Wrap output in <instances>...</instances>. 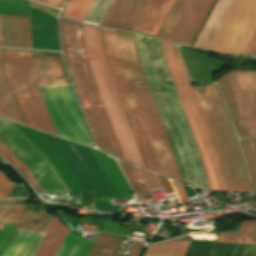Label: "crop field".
<instances>
[{
    "label": "crop field",
    "mask_w": 256,
    "mask_h": 256,
    "mask_svg": "<svg viewBox=\"0 0 256 256\" xmlns=\"http://www.w3.org/2000/svg\"><path fill=\"white\" fill-rule=\"evenodd\" d=\"M12 124L49 158L71 192H82V206L89 208L91 191L99 210L122 207L102 198H134L116 163L100 151Z\"/></svg>",
    "instance_id": "crop-field-1"
},
{
    "label": "crop field",
    "mask_w": 256,
    "mask_h": 256,
    "mask_svg": "<svg viewBox=\"0 0 256 256\" xmlns=\"http://www.w3.org/2000/svg\"><path fill=\"white\" fill-rule=\"evenodd\" d=\"M137 52L172 145L182 180L210 190L196 142L163 57L160 42L135 34Z\"/></svg>",
    "instance_id": "crop-field-2"
},
{
    "label": "crop field",
    "mask_w": 256,
    "mask_h": 256,
    "mask_svg": "<svg viewBox=\"0 0 256 256\" xmlns=\"http://www.w3.org/2000/svg\"><path fill=\"white\" fill-rule=\"evenodd\" d=\"M60 25L65 60L96 144L98 148L123 159L87 61L82 24L62 19Z\"/></svg>",
    "instance_id": "crop-field-3"
},
{
    "label": "crop field",
    "mask_w": 256,
    "mask_h": 256,
    "mask_svg": "<svg viewBox=\"0 0 256 256\" xmlns=\"http://www.w3.org/2000/svg\"><path fill=\"white\" fill-rule=\"evenodd\" d=\"M119 58L134 94L161 173L180 180L173 152L138 59L133 33L116 31Z\"/></svg>",
    "instance_id": "crop-field-4"
},
{
    "label": "crop field",
    "mask_w": 256,
    "mask_h": 256,
    "mask_svg": "<svg viewBox=\"0 0 256 256\" xmlns=\"http://www.w3.org/2000/svg\"><path fill=\"white\" fill-rule=\"evenodd\" d=\"M39 88L69 85L61 58L31 52ZM59 137L92 146L69 86L40 89ZM93 147V146H92Z\"/></svg>",
    "instance_id": "crop-field-5"
},
{
    "label": "crop field",
    "mask_w": 256,
    "mask_h": 256,
    "mask_svg": "<svg viewBox=\"0 0 256 256\" xmlns=\"http://www.w3.org/2000/svg\"><path fill=\"white\" fill-rule=\"evenodd\" d=\"M193 89L213 140L228 192H250L237 142L216 86Z\"/></svg>",
    "instance_id": "crop-field-6"
},
{
    "label": "crop field",
    "mask_w": 256,
    "mask_h": 256,
    "mask_svg": "<svg viewBox=\"0 0 256 256\" xmlns=\"http://www.w3.org/2000/svg\"><path fill=\"white\" fill-rule=\"evenodd\" d=\"M83 27L88 61L94 74L124 159L144 167L104 57L100 29L86 26L84 24Z\"/></svg>",
    "instance_id": "crop-field-7"
},
{
    "label": "crop field",
    "mask_w": 256,
    "mask_h": 256,
    "mask_svg": "<svg viewBox=\"0 0 256 256\" xmlns=\"http://www.w3.org/2000/svg\"><path fill=\"white\" fill-rule=\"evenodd\" d=\"M161 47L197 142L210 189L226 191L213 143L204 123L178 48L162 42Z\"/></svg>",
    "instance_id": "crop-field-8"
},
{
    "label": "crop field",
    "mask_w": 256,
    "mask_h": 256,
    "mask_svg": "<svg viewBox=\"0 0 256 256\" xmlns=\"http://www.w3.org/2000/svg\"><path fill=\"white\" fill-rule=\"evenodd\" d=\"M4 55L7 76L25 124L56 135L33 76L30 52L4 50Z\"/></svg>",
    "instance_id": "crop-field-9"
},
{
    "label": "crop field",
    "mask_w": 256,
    "mask_h": 256,
    "mask_svg": "<svg viewBox=\"0 0 256 256\" xmlns=\"http://www.w3.org/2000/svg\"><path fill=\"white\" fill-rule=\"evenodd\" d=\"M4 121L45 160L63 190H67L47 158L38 149H36L20 132H18L8 121ZM4 121L0 119V140L4 142L32 170L44 192H69L62 190L44 160ZM1 141L0 154L7 161L14 164L31 181V183L37 190L43 191L37 180L35 179L34 175L32 174L31 170Z\"/></svg>",
    "instance_id": "crop-field-10"
},
{
    "label": "crop field",
    "mask_w": 256,
    "mask_h": 256,
    "mask_svg": "<svg viewBox=\"0 0 256 256\" xmlns=\"http://www.w3.org/2000/svg\"><path fill=\"white\" fill-rule=\"evenodd\" d=\"M105 53L136 136L146 167L160 173L157 160L117 54L115 31L104 30ZM147 169V170H148ZM161 174V173H160Z\"/></svg>",
    "instance_id": "crop-field-11"
},
{
    "label": "crop field",
    "mask_w": 256,
    "mask_h": 256,
    "mask_svg": "<svg viewBox=\"0 0 256 256\" xmlns=\"http://www.w3.org/2000/svg\"><path fill=\"white\" fill-rule=\"evenodd\" d=\"M256 28V0H239L213 51L242 54Z\"/></svg>",
    "instance_id": "crop-field-12"
},
{
    "label": "crop field",
    "mask_w": 256,
    "mask_h": 256,
    "mask_svg": "<svg viewBox=\"0 0 256 256\" xmlns=\"http://www.w3.org/2000/svg\"><path fill=\"white\" fill-rule=\"evenodd\" d=\"M54 217L51 212L43 207L37 212L26 210L16 231L43 238ZM16 231H14L2 256H33L42 238Z\"/></svg>",
    "instance_id": "crop-field-13"
},
{
    "label": "crop field",
    "mask_w": 256,
    "mask_h": 256,
    "mask_svg": "<svg viewBox=\"0 0 256 256\" xmlns=\"http://www.w3.org/2000/svg\"><path fill=\"white\" fill-rule=\"evenodd\" d=\"M249 137L256 136V72L226 74Z\"/></svg>",
    "instance_id": "crop-field-14"
},
{
    "label": "crop field",
    "mask_w": 256,
    "mask_h": 256,
    "mask_svg": "<svg viewBox=\"0 0 256 256\" xmlns=\"http://www.w3.org/2000/svg\"><path fill=\"white\" fill-rule=\"evenodd\" d=\"M67 228L54 219L35 256H54L62 243ZM93 241L67 233L55 256H86Z\"/></svg>",
    "instance_id": "crop-field-15"
},
{
    "label": "crop field",
    "mask_w": 256,
    "mask_h": 256,
    "mask_svg": "<svg viewBox=\"0 0 256 256\" xmlns=\"http://www.w3.org/2000/svg\"><path fill=\"white\" fill-rule=\"evenodd\" d=\"M215 0H190L169 40L191 46Z\"/></svg>",
    "instance_id": "crop-field-16"
},
{
    "label": "crop field",
    "mask_w": 256,
    "mask_h": 256,
    "mask_svg": "<svg viewBox=\"0 0 256 256\" xmlns=\"http://www.w3.org/2000/svg\"><path fill=\"white\" fill-rule=\"evenodd\" d=\"M29 21L33 49L60 51L57 20L30 8Z\"/></svg>",
    "instance_id": "crop-field-17"
},
{
    "label": "crop field",
    "mask_w": 256,
    "mask_h": 256,
    "mask_svg": "<svg viewBox=\"0 0 256 256\" xmlns=\"http://www.w3.org/2000/svg\"><path fill=\"white\" fill-rule=\"evenodd\" d=\"M238 0H218L194 47L212 50Z\"/></svg>",
    "instance_id": "crop-field-18"
},
{
    "label": "crop field",
    "mask_w": 256,
    "mask_h": 256,
    "mask_svg": "<svg viewBox=\"0 0 256 256\" xmlns=\"http://www.w3.org/2000/svg\"><path fill=\"white\" fill-rule=\"evenodd\" d=\"M0 46L32 49L28 18L0 15Z\"/></svg>",
    "instance_id": "crop-field-19"
},
{
    "label": "crop field",
    "mask_w": 256,
    "mask_h": 256,
    "mask_svg": "<svg viewBox=\"0 0 256 256\" xmlns=\"http://www.w3.org/2000/svg\"><path fill=\"white\" fill-rule=\"evenodd\" d=\"M174 1L147 0L132 30L156 37Z\"/></svg>",
    "instance_id": "crop-field-20"
},
{
    "label": "crop field",
    "mask_w": 256,
    "mask_h": 256,
    "mask_svg": "<svg viewBox=\"0 0 256 256\" xmlns=\"http://www.w3.org/2000/svg\"><path fill=\"white\" fill-rule=\"evenodd\" d=\"M146 0H114L101 26L131 30Z\"/></svg>",
    "instance_id": "crop-field-21"
},
{
    "label": "crop field",
    "mask_w": 256,
    "mask_h": 256,
    "mask_svg": "<svg viewBox=\"0 0 256 256\" xmlns=\"http://www.w3.org/2000/svg\"><path fill=\"white\" fill-rule=\"evenodd\" d=\"M124 237L106 233H98L87 256H119L116 255ZM143 243L133 246L129 256H137ZM139 256V255H138Z\"/></svg>",
    "instance_id": "crop-field-22"
},
{
    "label": "crop field",
    "mask_w": 256,
    "mask_h": 256,
    "mask_svg": "<svg viewBox=\"0 0 256 256\" xmlns=\"http://www.w3.org/2000/svg\"><path fill=\"white\" fill-rule=\"evenodd\" d=\"M0 117L9 118L23 124L5 76L3 50H0Z\"/></svg>",
    "instance_id": "crop-field-23"
},
{
    "label": "crop field",
    "mask_w": 256,
    "mask_h": 256,
    "mask_svg": "<svg viewBox=\"0 0 256 256\" xmlns=\"http://www.w3.org/2000/svg\"><path fill=\"white\" fill-rule=\"evenodd\" d=\"M220 89L222 91L225 103L227 105L230 117L232 119L235 131L237 133V136L239 138H245L248 137L247 133L245 131L243 122L241 120L239 111L237 109L236 103L234 101L232 92L230 90L228 81L226 79V76H223L221 79L218 81Z\"/></svg>",
    "instance_id": "crop-field-24"
},
{
    "label": "crop field",
    "mask_w": 256,
    "mask_h": 256,
    "mask_svg": "<svg viewBox=\"0 0 256 256\" xmlns=\"http://www.w3.org/2000/svg\"><path fill=\"white\" fill-rule=\"evenodd\" d=\"M191 242L168 241L149 246L144 256H184Z\"/></svg>",
    "instance_id": "crop-field-25"
},
{
    "label": "crop field",
    "mask_w": 256,
    "mask_h": 256,
    "mask_svg": "<svg viewBox=\"0 0 256 256\" xmlns=\"http://www.w3.org/2000/svg\"><path fill=\"white\" fill-rule=\"evenodd\" d=\"M209 256H256V245L215 243Z\"/></svg>",
    "instance_id": "crop-field-26"
},
{
    "label": "crop field",
    "mask_w": 256,
    "mask_h": 256,
    "mask_svg": "<svg viewBox=\"0 0 256 256\" xmlns=\"http://www.w3.org/2000/svg\"><path fill=\"white\" fill-rule=\"evenodd\" d=\"M220 241L256 243V222L241 221L239 234L221 233Z\"/></svg>",
    "instance_id": "crop-field-27"
},
{
    "label": "crop field",
    "mask_w": 256,
    "mask_h": 256,
    "mask_svg": "<svg viewBox=\"0 0 256 256\" xmlns=\"http://www.w3.org/2000/svg\"><path fill=\"white\" fill-rule=\"evenodd\" d=\"M26 205H14L9 217L7 218L5 224L10 226H16ZM14 228L9 226H3L0 231V254L5 247L8 239L10 238Z\"/></svg>",
    "instance_id": "crop-field-28"
},
{
    "label": "crop field",
    "mask_w": 256,
    "mask_h": 256,
    "mask_svg": "<svg viewBox=\"0 0 256 256\" xmlns=\"http://www.w3.org/2000/svg\"><path fill=\"white\" fill-rule=\"evenodd\" d=\"M176 2H177V0L175 1L173 7L175 6ZM187 2H188V0H178V2L176 4V6L174 7V9L172 7L173 11H172V9L170 10V12H169L165 22L167 21L170 13L172 11L168 21L166 22V24L164 22L165 26H164V24L162 25V27H161L158 35H157V37H158L160 32H161V30H162V28H163V26H164V28H163L160 36H159V39H163V40H166V41L168 40V38H169V36H170L174 26L176 25V23H177L180 15L182 13V11L184 10Z\"/></svg>",
    "instance_id": "crop-field-29"
},
{
    "label": "crop field",
    "mask_w": 256,
    "mask_h": 256,
    "mask_svg": "<svg viewBox=\"0 0 256 256\" xmlns=\"http://www.w3.org/2000/svg\"><path fill=\"white\" fill-rule=\"evenodd\" d=\"M123 168L127 178L131 182L136 196L149 195L150 192L137 169L131 165L118 161Z\"/></svg>",
    "instance_id": "crop-field-30"
},
{
    "label": "crop field",
    "mask_w": 256,
    "mask_h": 256,
    "mask_svg": "<svg viewBox=\"0 0 256 256\" xmlns=\"http://www.w3.org/2000/svg\"><path fill=\"white\" fill-rule=\"evenodd\" d=\"M113 0H94L84 22L100 26Z\"/></svg>",
    "instance_id": "crop-field-31"
},
{
    "label": "crop field",
    "mask_w": 256,
    "mask_h": 256,
    "mask_svg": "<svg viewBox=\"0 0 256 256\" xmlns=\"http://www.w3.org/2000/svg\"><path fill=\"white\" fill-rule=\"evenodd\" d=\"M249 169V175L254 192L256 193V160L251 140H240Z\"/></svg>",
    "instance_id": "crop-field-32"
},
{
    "label": "crop field",
    "mask_w": 256,
    "mask_h": 256,
    "mask_svg": "<svg viewBox=\"0 0 256 256\" xmlns=\"http://www.w3.org/2000/svg\"><path fill=\"white\" fill-rule=\"evenodd\" d=\"M93 0H70L63 16L83 20Z\"/></svg>",
    "instance_id": "crop-field-33"
},
{
    "label": "crop field",
    "mask_w": 256,
    "mask_h": 256,
    "mask_svg": "<svg viewBox=\"0 0 256 256\" xmlns=\"http://www.w3.org/2000/svg\"><path fill=\"white\" fill-rule=\"evenodd\" d=\"M14 183L7 180L3 173L0 172V199L6 198Z\"/></svg>",
    "instance_id": "crop-field-34"
},
{
    "label": "crop field",
    "mask_w": 256,
    "mask_h": 256,
    "mask_svg": "<svg viewBox=\"0 0 256 256\" xmlns=\"http://www.w3.org/2000/svg\"><path fill=\"white\" fill-rule=\"evenodd\" d=\"M138 169L141 171V173H142L148 187L150 188V190L154 189L155 187L160 186V184L158 183L157 179L155 178V176L153 174H151L147 171H144L140 168H138Z\"/></svg>",
    "instance_id": "crop-field-35"
},
{
    "label": "crop field",
    "mask_w": 256,
    "mask_h": 256,
    "mask_svg": "<svg viewBox=\"0 0 256 256\" xmlns=\"http://www.w3.org/2000/svg\"><path fill=\"white\" fill-rule=\"evenodd\" d=\"M13 205L0 203V230L9 215Z\"/></svg>",
    "instance_id": "crop-field-36"
},
{
    "label": "crop field",
    "mask_w": 256,
    "mask_h": 256,
    "mask_svg": "<svg viewBox=\"0 0 256 256\" xmlns=\"http://www.w3.org/2000/svg\"><path fill=\"white\" fill-rule=\"evenodd\" d=\"M243 54L256 56V30L247 44Z\"/></svg>",
    "instance_id": "crop-field-37"
},
{
    "label": "crop field",
    "mask_w": 256,
    "mask_h": 256,
    "mask_svg": "<svg viewBox=\"0 0 256 256\" xmlns=\"http://www.w3.org/2000/svg\"><path fill=\"white\" fill-rule=\"evenodd\" d=\"M172 181V180H171ZM174 188L178 194V197L180 199L181 202H189L187 199V196L183 190V186L177 182L172 181Z\"/></svg>",
    "instance_id": "crop-field-38"
},
{
    "label": "crop field",
    "mask_w": 256,
    "mask_h": 256,
    "mask_svg": "<svg viewBox=\"0 0 256 256\" xmlns=\"http://www.w3.org/2000/svg\"><path fill=\"white\" fill-rule=\"evenodd\" d=\"M157 177H158V179H159V181H160V183H161V185H162L166 194L174 192L170 183H169V181L167 179L162 178L158 175H157Z\"/></svg>",
    "instance_id": "crop-field-39"
},
{
    "label": "crop field",
    "mask_w": 256,
    "mask_h": 256,
    "mask_svg": "<svg viewBox=\"0 0 256 256\" xmlns=\"http://www.w3.org/2000/svg\"><path fill=\"white\" fill-rule=\"evenodd\" d=\"M65 0H44L43 3L55 7L62 8Z\"/></svg>",
    "instance_id": "crop-field-40"
},
{
    "label": "crop field",
    "mask_w": 256,
    "mask_h": 256,
    "mask_svg": "<svg viewBox=\"0 0 256 256\" xmlns=\"http://www.w3.org/2000/svg\"><path fill=\"white\" fill-rule=\"evenodd\" d=\"M253 146H254V151H255V156H256V140H252Z\"/></svg>",
    "instance_id": "crop-field-41"
}]
</instances>
